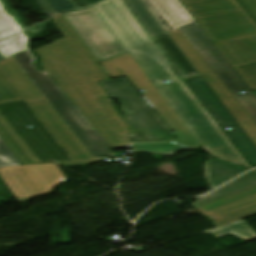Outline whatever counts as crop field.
<instances>
[{"instance_id":"crop-field-10","label":"crop field","mask_w":256,"mask_h":256,"mask_svg":"<svg viewBox=\"0 0 256 256\" xmlns=\"http://www.w3.org/2000/svg\"><path fill=\"white\" fill-rule=\"evenodd\" d=\"M0 111L44 162L70 160L24 101L0 105ZM31 125L33 128L27 126Z\"/></svg>"},{"instance_id":"crop-field-33","label":"crop field","mask_w":256,"mask_h":256,"mask_svg":"<svg viewBox=\"0 0 256 256\" xmlns=\"http://www.w3.org/2000/svg\"><path fill=\"white\" fill-rule=\"evenodd\" d=\"M3 60H5V59H4L3 56L0 54V62L3 61Z\"/></svg>"},{"instance_id":"crop-field-21","label":"crop field","mask_w":256,"mask_h":256,"mask_svg":"<svg viewBox=\"0 0 256 256\" xmlns=\"http://www.w3.org/2000/svg\"><path fill=\"white\" fill-rule=\"evenodd\" d=\"M27 42L28 39L22 33H19L0 42V53L6 59L15 53L27 50L25 47Z\"/></svg>"},{"instance_id":"crop-field-12","label":"crop field","mask_w":256,"mask_h":256,"mask_svg":"<svg viewBox=\"0 0 256 256\" xmlns=\"http://www.w3.org/2000/svg\"><path fill=\"white\" fill-rule=\"evenodd\" d=\"M186 84L199 98L230 139L236 144L253 168L256 167V146L237 124L228 110L214 94L202 77L185 80ZM232 130L226 131L225 128Z\"/></svg>"},{"instance_id":"crop-field-31","label":"crop field","mask_w":256,"mask_h":256,"mask_svg":"<svg viewBox=\"0 0 256 256\" xmlns=\"http://www.w3.org/2000/svg\"><path fill=\"white\" fill-rule=\"evenodd\" d=\"M76 8L88 6L84 0H69Z\"/></svg>"},{"instance_id":"crop-field-13","label":"crop field","mask_w":256,"mask_h":256,"mask_svg":"<svg viewBox=\"0 0 256 256\" xmlns=\"http://www.w3.org/2000/svg\"><path fill=\"white\" fill-rule=\"evenodd\" d=\"M203 215H213L217 228L256 215V188L197 208Z\"/></svg>"},{"instance_id":"crop-field-8","label":"crop field","mask_w":256,"mask_h":256,"mask_svg":"<svg viewBox=\"0 0 256 256\" xmlns=\"http://www.w3.org/2000/svg\"><path fill=\"white\" fill-rule=\"evenodd\" d=\"M110 98L117 99L125 118L137 134L131 142L169 141L174 135L125 80L99 82Z\"/></svg>"},{"instance_id":"crop-field-34","label":"crop field","mask_w":256,"mask_h":256,"mask_svg":"<svg viewBox=\"0 0 256 256\" xmlns=\"http://www.w3.org/2000/svg\"><path fill=\"white\" fill-rule=\"evenodd\" d=\"M255 95H256V91H254Z\"/></svg>"},{"instance_id":"crop-field-25","label":"crop field","mask_w":256,"mask_h":256,"mask_svg":"<svg viewBox=\"0 0 256 256\" xmlns=\"http://www.w3.org/2000/svg\"><path fill=\"white\" fill-rule=\"evenodd\" d=\"M56 13L75 8L68 0H47Z\"/></svg>"},{"instance_id":"crop-field-9","label":"crop field","mask_w":256,"mask_h":256,"mask_svg":"<svg viewBox=\"0 0 256 256\" xmlns=\"http://www.w3.org/2000/svg\"><path fill=\"white\" fill-rule=\"evenodd\" d=\"M223 83L256 121V96L197 22L180 27ZM244 91L246 94L240 95ZM256 123V122H255Z\"/></svg>"},{"instance_id":"crop-field-15","label":"crop field","mask_w":256,"mask_h":256,"mask_svg":"<svg viewBox=\"0 0 256 256\" xmlns=\"http://www.w3.org/2000/svg\"><path fill=\"white\" fill-rule=\"evenodd\" d=\"M0 137L22 165L40 163L0 113Z\"/></svg>"},{"instance_id":"crop-field-28","label":"crop field","mask_w":256,"mask_h":256,"mask_svg":"<svg viewBox=\"0 0 256 256\" xmlns=\"http://www.w3.org/2000/svg\"><path fill=\"white\" fill-rule=\"evenodd\" d=\"M35 1L41 7V9L44 11V13L47 15L48 18L56 14L46 0H35Z\"/></svg>"},{"instance_id":"crop-field-32","label":"crop field","mask_w":256,"mask_h":256,"mask_svg":"<svg viewBox=\"0 0 256 256\" xmlns=\"http://www.w3.org/2000/svg\"><path fill=\"white\" fill-rule=\"evenodd\" d=\"M89 5L97 2V1H100V0H85Z\"/></svg>"},{"instance_id":"crop-field-17","label":"crop field","mask_w":256,"mask_h":256,"mask_svg":"<svg viewBox=\"0 0 256 256\" xmlns=\"http://www.w3.org/2000/svg\"><path fill=\"white\" fill-rule=\"evenodd\" d=\"M256 187V171L252 170L224 187L202 197L200 200L191 204L195 208Z\"/></svg>"},{"instance_id":"crop-field-20","label":"crop field","mask_w":256,"mask_h":256,"mask_svg":"<svg viewBox=\"0 0 256 256\" xmlns=\"http://www.w3.org/2000/svg\"><path fill=\"white\" fill-rule=\"evenodd\" d=\"M134 153L145 152L155 153L159 155H174L180 150H189L171 143H156V144H133Z\"/></svg>"},{"instance_id":"crop-field-26","label":"crop field","mask_w":256,"mask_h":256,"mask_svg":"<svg viewBox=\"0 0 256 256\" xmlns=\"http://www.w3.org/2000/svg\"><path fill=\"white\" fill-rule=\"evenodd\" d=\"M0 10L4 11L5 13H7L10 16V18L13 20L15 26L20 31L25 29L24 25L19 21L20 19L18 20V18L15 16V14L12 12V10L5 5L3 0H0Z\"/></svg>"},{"instance_id":"crop-field-19","label":"crop field","mask_w":256,"mask_h":256,"mask_svg":"<svg viewBox=\"0 0 256 256\" xmlns=\"http://www.w3.org/2000/svg\"><path fill=\"white\" fill-rule=\"evenodd\" d=\"M210 232L217 237L232 233L247 241L256 239V231L251 228L244 220L229 224Z\"/></svg>"},{"instance_id":"crop-field-3","label":"crop field","mask_w":256,"mask_h":256,"mask_svg":"<svg viewBox=\"0 0 256 256\" xmlns=\"http://www.w3.org/2000/svg\"><path fill=\"white\" fill-rule=\"evenodd\" d=\"M188 10L213 40L238 74L256 90V24L235 0H221L194 6Z\"/></svg>"},{"instance_id":"crop-field-5","label":"crop field","mask_w":256,"mask_h":256,"mask_svg":"<svg viewBox=\"0 0 256 256\" xmlns=\"http://www.w3.org/2000/svg\"><path fill=\"white\" fill-rule=\"evenodd\" d=\"M0 71L72 160L58 162L61 167L104 162L90 154L12 57L0 63Z\"/></svg>"},{"instance_id":"crop-field-11","label":"crop field","mask_w":256,"mask_h":256,"mask_svg":"<svg viewBox=\"0 0 256 256\" xmlns=\"http://www.w3.org/2000/svg\"><path fill=\"white\" fill-rule=\"evenodd\" d=\"M0 177L18 202L52 193L65 180L55 163L0 168Z\"/></svg>"},{"instance_id":"crop-field-6","label":"crop field","mask_w":256,"mask_h":256,"mask_svg":"<svg viewBox=\"0 0 256 256\" xmlns=\"http://www.w3.org/2000/svg\"><path fill=\"white\" fill-rule=\"evenodd\" d=\"M12 57L94 157L114 155L58 84L46 72L38 73L35 70L32 66L34 57L29 50Z\"/></svg>"},{"instance_id":"crop-field-16","label":"crop field","mask_w":256,"mask_h":256,"mask_svg":"<svg viewBox=\"0 0 256 256\" xmlns=\"http://www.w3.org/2000/svg\"><path fill=\"white\" fill-rule=\"evenodd\" d=\"M204 167L205 178L212 189L245 172L244 167L219 159L206 161Z\"/></svg>"},{"instance_id":"crop-field-18","label":"crop field","mask_w":256,"mask_h":256,"mask_svg":"<svg viewBox=\"0 0 256 256\" xmlns=\"http://www.w3.org/2000/svg\"><path fill=\"white\" fill-rule=\"evenodd\" d=\"M131 11L143 24L151 36L164 32V28L156 20L150 10L141 0H124Z\"/></svg>"},{"instance_id":"crop-field-4","label":"crop field","mask_w":256,"mask_h":256,"mask_svg":"<svg viewBox=\"0 0 256 256\" xmlns=\"http://www.w3.org/2000/svg\"><path fill=\"white\" fill-rule=\"evenodd\" d=\"M157 20L175 40L182 52L192 63L199 74L206 80L215 94L229 110L238 124L256 145V123L245 111L240 103L229 92L212 68L199 54L191 42L178 28L195 22L196 20L187 11L179 0H143ZM174 26L176 29L171 28Z\"/></svg>"},{"instance_id":"crop-field-27","label":"crop field","mask_w":256,"mask_h":256,"mask_svg":"<svg viewBox=\"0 0 256 256\" xmlns=\"http://www.w3.org/2000/svg\"><path fill=\"white\" fill-rule=\"evenodd\" d=\"M256 20V0H238Z\"/></svg>"},{"instance_id":"crop-field-14","label":"crop field","mask_w":256,"mask_h":256,"mask_svg":"<svg viewBox=\"0 0 256 256\" xmlns=\"http://www.w3.org/2000/svg\"><path fill=\"white\" fill-rule=\"evenodd\" d=\"M153 38L171 60L176 72L182 79L199 75L167 32Z\"/></svg>"},{"instance_id":"crop-field-22","label":"crop field","mask_w":256,"mask_h":256,"mask_svg":"<svg viewBox=\"0 0 256 256\" xmlns=\"http://www.w3.org/2000/svg\"><path fill=\"white\" fill-rule=\"evenodd\" d=\"M22 99L0 72V104L21 101Z\"/></svg>"},{"instance_id":"crop-field-7","label":"crop field","mask_w":256,"mask_h":256,"mask_svg":"<svg viewBox=\"0 0 256 256\" xmlns=\"http://www.w3.org/2000/svg\"><path fill=\"white\" fill-rule=\"evenodd\" d=\"M100 65L106 71L109 78L125 76L138 92L141 90L145 92L143 94L139 92V94L166 123V125L170 129L176 131L175 134L179 140L174 139L171 141V143L192 149L201 147L200 143L197 141L176 111L158 91V89L140 68L129 52L100 62ZM118 68H120L122 72H120Z\"/></svg>"},{"instance_id":"crop-field-2","label":"crop field","mask_w":256,"mask_h":256,"mask_svg":"<svg viewBox=\"0 0 256 256\" xmlns=\"http://www.w3.org/2000/svg\"><path fill=\"white\" fill-rule=\"evenodd\" d=\"M51 21L64 36L36 49L45 71L60 85L111 148L129 145L134 130L126 119L112 121L100 99L109 98L97 81L108 76L62 14Z\"/></svg>"},{"instance_id":"crop-field-29","label":"crop field","mask_w":256,"mask_h":256,"mask_svg":"<svg viewBox=\"0 0 256 256\" xmlns=\"http://www.w3.org/2000/svg\"><path fill=\"white\" fill-rule=\"evenodd\" d=\"M105 106L107 107V109L109 110L110 114H111V118L112 120H117V119H121L120 115L118 114V112L114 109L112 103L108 100V99H103Z\"/></svg>"},{"instance_id":"crop-field-1","label":"crop field","mask_w":256,"mask_h":256,"mask_svg":"<svg viewBox=\"0 0 256 256\" xmlns=\"http://www.w3.org/2000/svg\"><path fill=\"white\" fill-rule=\"evenodd\" d=\"M63 15L98 62L129 51L209 153L251 169L123 0H106ZM166 80L171 83L164 84Z\"/></svg>"},{"instance_id":"crop-field-30","label":"crop field","mask_w":256,"mask_h":256,"mask_svg":"<svg viewBox=\"0 0 256 256\" xmlns=\"http://www.w3.org/2000/svg\"><path fill=\"white\" fill-rule=\"evenodd\" d=\"M185 6L188 5H194V4H199V3H205V2H210V1H216V0H181Z\"/></svg>"},{"instance_id":"crop-field-23","label":"crop field","mask_w":256,"mask_h":256,"mask_svg":"<svg viewBox=\"0 0 256 256\" xmlns=\"http://www.w3.org/2000/svg\"><path fill=\"white\" fill-rule=\"evenodd\" d=\"M16 165L21 164L0 138V167Z\"/></svg>"},{"instance_id":"crop-field-24","label":"crop field","mask_w":256,"mask_h":256,"mask_svg":"<svg viewBox=\"0 0 256 256\" xmlns=\"http://www.w3.org/2000/svg\"><path fill=\"white\" fill-rule=\"evenodd\" d=\"M19 32L8 15L0 11V40Z\"/></svg>"}]
</instances>
